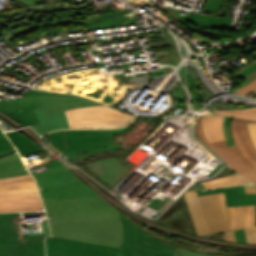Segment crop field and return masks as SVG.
I'll return each mask as SVG.
<instances>
[{"label":"crop field","instance_id":"obj_29","mask_svg":"<svg viewBox=\"0 0 256 256\" xmlns=\"http://www.w3.org/2000/svg\"><path fill=\"white\" fill-rule=\"evenodd\" d=\"M230 118L231 117H225V120H224V129H225L228 146L234 145L232 135H231V130H230V122H229Z\"/></svg>","mask_w":256,"mask_h":256},{"label":"crop field","instance_id":"obj_1","mask_svg":"<svg viewBox=\"0 0 256 256\" xmlns=\"http://www.w3.org/2000/svg\"><path fill=\"white\" fill-rule=\"evenodd\" d=\"M42 201L47 215L53 216L48 219L53 237H46L47 256H116L120 253L121 222L116 208L102 196Z\"/></svg>","mask_w":256,"mask_h":256},{"label":"crop field","instance_id":"obj_50","mask_svg":"<svg viewBox=\"0 0 256 256\" xmlns=\"http://www.w3.org/2000/svg\"><path fill=\"white\" fill-rule=\"evenodd\" d=\"M245 191H246V193H254V192H256V188L246 189Z\"/></svg>","mask_w":256,"mask_h":256},{"label":"crop field","instance_id":"obj_46","mask_svg":"<svg viewBox=\"0 0 256 256\" xmlns=\"http://www.w3.org/2000/svg\"><path fill=\"white\" fill-rule=\"evenodd\" d=\"M28 180H34V179H33V177H29V178H24V179H19V180L0 182V185L14 183V182H20V181H28Z\"/></svg>","mask_w":256,"mask_h":256},{"label":"crop field","instance_id":"obj_25","mask_svg":"<svg viewBox=\"0 0 256 256\" xmlns=\"http://www.w3.org/2000/svg\"><path fill=\"white\" fill-rule=\"evenodd\" d=\"M246 206L236 207L235 229L244 227Z\"/></svg>","mask_w":256,"mask_h":256},{"label":"crop field","instance_id":"obj_4","mask_svg":"<svg viewBox=\"0 0 256 256\" xmlns=\"http://www.w3.org/2000/svg\"><path fill=\"white\" fill-rule=\"evenodd\" d=\"M46 168L45 171L31 173L36 181L39 179L37 183L39 190L41 189L42 198H75L99 195L59 160L46 164Z\"/></svg>","mask_w":256,"mask_h":256},{"label":"crop field","instance_id":"obj_39","mask_svg":"<svg viewBox=\"0 0 256 256\" xmlns=\"http://www.w3.org/2000/svg\"><path fill=\"white\" fill-rule=\"evenodd\" d=\"M141 234H142V241H152V240H158V238L154 237L153 235L141 230Z\"/></svg>","mask_w":256,"mask_h":256},{"label":"crop field","instance_id":"obj_18","mask_svg":"<svg viewBox=\"0 0 256 256\" xmlns=\"http://www.w3.org/2000/svg\"><path fill=\"white\" fill-rule=\"evenodd\" d=\"M41 210L44 208L40 199L0 200V212Z\"/></svg>","mask_w":256,"mask_h":256},{"label":"crop field","instance_id":"obj_38","mask_svg":"<svg viewBox=\"0 0 256 256\" xmlns=\"http://www.w3.org/2000/svg\"><path fill=\"white\" fill-rule=\"evenodd\" d=\"M235 233H236L237 242L247 243L244 229L237 230L235 231Z\"/></svg>","mask_w":256,"mask_h":256},{"label":"crop field","instance_id":"obj_3","mask_svg":"<svg viewBox=\"0 0 256 256\" xmlns=\"http://www.w3.org/2000/svg\"><path fill=\"white\" fill-rule=\"evenodd\" d=\"M41 225L44 233L22 235L18 213H0V256H45L44 236L50 232L46 219ZM34 237L41 239H26Z\"/></svg>","mask_w":256,"mask_h":256},{"label":"crop field","instance_id":"obj_11","mask_svg":"<svg viewBox=\"0 0 256 256\" xmlns=\"http://www.w3.org/2000/svg\"><path fill=\"white\" fill-rule=\"evenodd\" d=\"M34 110L40 124L31 127L35 129L36 132H38L40 135H43L46 132L54 129L69 128L64 111L45 115L42 108Z\"/></svg>","mask_w":256,"mask_h":256},{"label":"crop field","instance_id":"obj_35","mask_svg":"<svg viewBox=\"0 0 256 256\" xmlns=\"http://www.w3.org/2000/svg\"><path fill=\"white\" fill-rule=\"evenodd\" d=\"M248 244H256V227L245 229Z\"/></svg>","mask_w":256,"mask_h":256},{"label":"crop field","instance_id":"obj_27","mask_svg":"<svg viewBox=\"0 0 256 256\" xmlns=\"http://www.w3.org/2000/svg\"><path fill=\"white\" fill-rule=\"evenodd\" d=\"M10 149H14V146L10 143L4 133L0 130V152H4Z\"/></svg>","mask_w":256,"mask_h":256},{"label":"crop field","instance_id":"obj_32","mask_svg":"<svg viewBox=\"0 0 256 256\" xmlns=\"http://www.w3.org/2000/svg\"><path fill=\"white\" fill-rule=\"evenodd\" d=\"M19 154L16 152V150H10L4 153H0V162L19 158Z\"/></svg>","mask_w":256,"mask_h":256},{"label":"crop field","instance_id":"obj_15","mask_svg":"<svg viewBox=\"0 0 256 256\" xmlns=\"http://www.w3.org/2000/svg\"><path fill=\"white\" fill-rule=\"evenodd\" d=\"M241 132H242L244 139L251 151L249 153H247L244 150V148L241 146V144L238 140V137H237L235 123H232V133H233V137H234L237 147L242 152L244 157H246L256 167V161H253V159H256V148L248 136L246 123H241ZM239 174H241L242 176L246 177L247 179H249L250 181H252L256 184V168L239 173Z\"/></svg>","mask_w":256,"mask_h":256},{"label":"crop field","instance_id":"obj_47","mask_svg":"<svg viewBox=\"0 0 256 256\" xmlns=\"http://www.w3.org/2000/svg\"><path fill=\"white\" fill-rule=\"evenodd\" d=\"M31 176L30 174L19 176V177H13V178H5V179H0V181H7V180H13V179H19V178H24V177H29Z\"/></svg>","mask_w":256,"mask_h":256},{"label":"crop field","instance_id":"obj_13","mask_svg":"<svg viewBox=\"0 0 256 256\" xmlns=\"http://www.w3.org/2000/svg\"><path fill=\"white\" fill-rule=\"evenodd\" d=\"M0 110L25 126L38 123L33 109L23 110L17 99L0 102Z\"/></svg>","mask_w":256,"mask_h":256},{"label":"crop field","instance_id":"obj_19","mask_svg":"<svg viewBox=\"0 0 256 256\" xmlns=\"http://www.w3.org/2000/svg\"><path fill=\"white\" fill-rule=\"evenodd\" d=\"M185 194H186L189 210L198 234L202 235V234L209 233L200 210L197 191L185 192Z\"/></svg>","mask_w":256,"mask_h":256},{"label":"crop field","instance_id":"obj_34","mask_svg":"<svg viewBox=\"0 0 256 256\" xmlns=\"http://www.w3.org/2000/svg\"><path fill=\"white\" fill-rule=\"evenodd\" d=\"M235 179H241V177L238 176L237 174H234V175L225 176V177H221V178H218V179H214V180L202 182V184H203V185H206V184L218 183V182L229 181V180H235Z\"/></svg>","mask_w":256,"mask_h":256},{"label":"crop field","instance_id":"obj_26","mask_svg":"<svg viewBox=\"0 0 256 256\" xmlns=\"http://www.w3.org/2000/svg\"><path fill=\"white\" fill-rule=\"evenodd\" d=\"M235 93L244 94L251 97L256 96V80L249 85L237 90Z\"/></svg>","mask_w":256,"mask_h":256},{"label":"crop field","instance_id":"obj_21","mask_svg":"<svg viewBox=\"0 0 256 256\" xmlns=\"http://www.w3.org/2000/svg\"><path fill=\"white\" fill-rule=\"evenodd\" d=\"M21 159L0 163V178L19 176L29 173Z\"/></svg>","mask_w":256,"mask_h":256},{"label":"crop field","instance_id":"obj_10","mask_svg":"<svg viewBox=\"0 0 256 256\" xmlns=\"http://www.w3.org/2000/svg\"><path fill=\"white\" fill-rule=\"evenodd\" d=\"M179 21L188 27L198 31L200 28L210 30L211 28H229L231 20L228 18L208 17L201 14L190 13L188 17L181 16Z\"/></svg>","mask_w":256,"mask_h":256},{"label":"crop field","instance_id":"obj_49","mask_svg":"<svg viewBox=\"0 0 256 256\" xmlns=\"http://www.w3.org/2000/svg\"><path fill=\"white\" fill-rule=\"evenodd\" d=\"M254 64H256V61H255V62H253L252 64H250L249 66L245 67L244 69H242L241 71H239V72H238V73H236L235 75H237V74H239V73L243 72V71H244V70H246L248 67H250V66H252V65H254Z\"/></svg>","mask_w":256,"mask_h":256},{"label":"crop field","instance_id":"obj_23","mask_svg":"<svg viewBox=\"0 0 256 256\" xmlns=\"http://www.w3.org/2000/svg\"><path fill=\"white\" fill-rule=\"evenodd\" d=\"M216 113L256 120V107L243 108V109H237L232 111H216Z\"/></svg>","mask_w":256,"mask_h":256},{"label":"crop field","instance_id":"obj_22","mask_svg":"<svg viewBox=\"0 0 256 256\" xmlns=\"http://www.w3.org/2000/svg\"><path fill=\"white\" fill-rule=\"evenodd\" d=\"M227 231L234 230L235 207H227L224 193H218ZM229 208V210H226Z\"/></svg>","mask_w":256,"mask_h":256},{"label":"crop field","instance_id":"obj_36","mask_svg":"<svg viewBox=\"0 0 256 256\" xmlns=\"http://www.w3.org/2000/svg\"><path fill=\"white\" fill-rule=\"evenodd\" d=\"M249 135L256 146V123H247Z\"/></svg>","mask_w":256,"mask_h":256},{"label":"crop field","instance_id":"obj_8","mask_svg":"<svg viewBox=\"0 0 256 256\" xmlns=\"http://www.w3.org/2000/svg\"><path fill=\"white\" fill-rule=\"evenodd\" d=\"M119 213L123 226V244L120 255L117 256H149L155 254L154 249L145 250L140 235V229Z\"/></svg>","mask_w":256,"mask_h":256},{"label":"crop field","instance_id":"obj_31","mask_svg":"<svg viewBox=\"0 0 256 256\" xmlns=\"http://www.w3.org/2000/svg\"><path fill=\"white\" fill-rule=\"evenodd\" d=\"M224 0H207L205 7L209 10L219 11Z\"/></svg>","mask_w":256,"mask_h":256},{"label":"crop field","instance_id":"obj_30","mask_svg":"<svg viewBox=\"0 0 256 256\" xmlns=\"http://www.w3.org/2000/svg\"><path fill=\"white\" fill-rule=\"evenodd\" d=\"M245 183H249V182H247L244 179H241V180L229 181V182H224V183L206 185V186H204V188L208 189V188H215V187H222V186H229V185H236V184H245Z\"/></svg>","mask_w":256,"mask_h":256},{"label":"crop field","instance_id":"obj_52","mask_svg":"<svg viewBox=\"0 0 256 256\" xmlns=\"http://www.w3.org/2000/svg\"><path fill=\"white\" fill-rule=\"evenodd\" d=\"M209 256H221V255H213V254H208Z\"/></svg>","mask_w":256,"mask_h":256},{"label":"crop field","instance_id":"obj_28","mask_svg":"<svg viewBox=\"0 0 256 256\" xmlns=\"http://www.w3.org/2000/svg\"><path fill=\"white\" fill-rule=\"evenodd\" d=\"M179 253H173V256H207L204 253L193 252L184 248L176 246Z\"/></svg>","mask_w":256,"mask_h":256},{"label":"crop field","instance_id":"obj_14","mask_svg":"<svg viewBox=\"0 0 256 256\" xmlns=\"http://www.w3.org/2000/svg\"><path fill=\"white\" fill-rule=\"evenodd\" d=\"M133 10H126L122 12H109L98 14V17L84 21L85 29H95L113 25L127 24L135 22L134 19L121 18V14L132 12Z\"/></svg>","mask_w":256,"mask_h":256},{"label":"crop field","instance_id":"obj_53","mask_svg":"<svg viewBox=\"0 0 256 256\" xmlns=\"http://www.w3.org/2000/svg\"><path fill=\"white\" fill-rule=\"evenodd\" d=\"M3 119L0 118V121H2Z\"/></svg>","mask_w":256,"mask_h":256},{"label":"crop field","instance_id":"obj_44","mask_svg":"<svg viewBox=\"0 0 256 256\" xmlns=\"http://www.w3.org/2000/svg\"><path fill=\"white\" fill-rule=\"evenodd\" d=\"M256 69V65H254L253 67L247 69L246 71H244L242 74L236 76V78H240V77H245L246 75H248L250 72H252L253 70Z\"/></svg>","mask_w":256,"mask_h":256},{"label":"crop field","instance_id":"obj_41","mask_svg":"<svg viewBox=\"0 0 256 256\" xmlns=\"http://www.w3.org/2000/svg\"><path fill=\"white\" fill-rule=\"evenodd\" d=\"M250 215H251V205L247 206L246 219H245V227L250 226Z\"/></svg>","mask_w":256,"mask_h":256},{"label":"crop field","instance_id":"obj_16","mask_svg":"<svg viewBox=\"0 0 256 256\" xmlns=\"http://www.w3.org/2000/svg\"><path fill=\"white\" fill-rule=\"evenodd\" d=\"M224 116L206 115L203 118V126L206 139L212 143L216 141L226 140L223 130Z\"/></svg>","mask_w":256,"mask_h":256},{"label":"crop field","instance_id":"obj_43","mask_svg":"<svg viewBox=\"0 0 256 256\" xmlns=\"http://www.w3.org/2000/svg\"><path fill=\"white\" fill-rule=\"evenodd\" d=\"M225 235H226L227 241H229V242H236L234 231L225 232Z\"/></svg>","mask_w":256,"mask_h":256},{"label":"crop field","instance_id":"obj_6","mask_svg":"<svg viewBox=\"0 0 256 256\" xmlns=\"http://www.w3.org/2000/svg\"><path fill=\"white\" fill-rule=\"evenodd\" d=\"M23 109L43 107L45 113H52L61 110L79 108L84 106L101 105L81 97L64 96H34L19 98Z\"/></svg>","mask_w":256,"mask_h":256},{"label":"crop field","instance_id":"obj_40","mask_svg":"<svg viewBox=\"0 0 256 256\" xmlns=\"http://www.w3.org/2000/svg\"><path fill=\"white\" fill-rule=\"evenodd\" d=\"M245 79L247 80V82H246L244 85H242L241 87H243V86L249 84V83L252 82L254 79H256V70L253 71L251 74H249L247 77H245ZM241 87H239V88H241ZM239 88H238V89H239ZM236 90H237V89H236ZM236 90H234V91H236ZM234 91H232V92H234ZM232 92H231V93H232Z\"/></svg>","mask_w":256,"mask_h":256},{"label":"crop field","instance_id":"obj_9","mask_svg":"<svg viewBox=\"0 0 256 256\" xmlns=\"http://www.w3.org/2000/svg\"><path fill=\"white\" fill-rule=\"evenodd\" d=\"M198 197L209 232L226 231L217 193Z\"/></svg>","mask_w":256,"mask_h":256},{"label":"crop field","instance_id":"obj_51","mask_svg":"<svg viewBox=\"0 0 256 256\" xmlns=\"http://www.w3.org/2000/svg\"><path fill=\"white\" fill-rule=\"evenodd\" d=\"M248 199V201H254V200H256V197H253V198H247Z\"/></svg>","mask_w":256,"mask_h":256},{"label":"crop field","instance_id":"obj_42","mask_svg":"<svg viewBox=\"0 0 256 256\" xmlns=\"http://www.w3.org/2000/svg\"><path fill=\"white\" fill-rule=\"evenodd\" d=\"M251 226H256V205H252Z\"/></svg>","mask_w":256,"mask_h":256},{"label":"crop field","instance_id":"obj_12","mask_svg":"<svg viewBox=\"0 0 256 256\" xmlns=\"http://www.w3.org/2000/svg\"><path fill=\"white\" fill-rule=\"evenodd\" d=\"M35 181L0 186V199L40 198Z\"/></svg>","mask_w":256,"mask_h":256},{"label":"crop field","instance_id":"obj_20","mask_svg":"<svg viewBox=\"0 0 256 256\" xmlns=\"http://www.w3.org/2000/svg\"><path fill=\"white\" fill-rule=\"evenodd\" d=\"M15 147L19 150L21 156L33 154L36 152L43 151L39 145L33 143L17 131L6 133Z\"/></svg>","mask_w":256,"mask_h":256},{"label":"crop field","instance_id":"obj_7","mask_svg":"<svg viewBox=\"0 0 256 256\" xmlns=\"http://www.w3.org/2000/svg\"><path fill=\"white\" fill-rule=\"evenodd\" d=\"M202 117L198 118L196 122L195 134L208 148L220 156L237 173L254 168L235 146L228 147L226 141L210 144L204 136Z\"/></svg>","mask_w":256,"mask_h":256},{"label":"crop field","instance_id":"obj_5","mask_svg":"<svg viewBox=\"0 0 256 256\" xmlns=\"http://www.w3.org/2000/svg\"><path fill=\"white\" fill-rule=\"evenodd\" d=\"M70 128L122 127L131 122L133 115L114 110L105 105L65 111Z\"/></svg>","mask_w":256,"mask_h":256},{"label":"crop field","instance_id":"obj_37","mask_svg":"<svg viewBox=\"0 0 256 256\" xmlns=\"http://www.w3.org/2000/svg\"><path fill=\"white\" fill-rule=\"evenodd\" d=\"M33 95H65V96H72V95H67V94L48 93V92L33 90L32 92H29L27 95H24V97H26V96H33Z\"/></svg>","mask_w":256,"mask_h":256},{"label":"crop field","instance_id":"obj_2","mask_svg":"<svg viewBox=\"0 0 256 256\" xmlns=\"http://www.w3.org/2000/svg\"><path fill=\"white\" fill-rule=\"evenodd\" d=\"M128 125L121 129L99 130H60L49 133V142L69 159H77L88 155L118 149L112 137L127 130Z\"/></svg>","mask_w":256,"mask_h":256},{"label":"crop field","instance_id":"obj_24","mask_svg":"<svg viewBox=\"0 0 256 256\" xmlns=\"http://www.w3.org/2000/svg\"><path fill=\"white\" fill-rule=\"evenodd\" d=\"M145 248L154 247L157 253H165V252H177L175 246H172L162 240L152 241L143 243Z\"/></svg>","mask_w":256,"mask_h":256},{"label":"crop field","instance_id":"obj_45","mask_svg":"<svg viewBox=\"0 0 256 256\" xmlns=\"http://www.w3.org/2000/svg\"><path fill=\"white\" fill-rule=\"evenodd\" d=\"M20 2L26 4L27 6L37 5V1L39 0H19Z\"/></svg>","mask_w":256,"mask_h":256},{"label":"crop field","instance_id":"obj_33","mask_svg":"<svg viewBox=\"0 0 256 256\" xmlns=\"http://www.w3.org/2000/svg\"><path fill=\"white\" fill-rule=\"evenodd\" d=\"M233 122H236V129H237V133H238V136H239V139L243 145V147L246 149L247 152H249V149L241 135V132H240V122H254V121H249V120H243V119H237V118H234V121Z\"/></svg>","mask_w":256,"mask_h":256},{"label":"crop field","instance_id":"obj_48","mask_svg":"<svg viewBox=\"0 0 256 256\" xmlns=\"http://www.w3.org/2000/svg\"><path fill=\"white\" fill-rule=\"evenodd\" d=\"M151 256H172V253H165V254H155Z\"/></svg>","mask_w":256,"mask_h":256},{"label":"crop field","instance_id":"obj_17","mask_svg":"<svg viewBox=\"0 0 256 256\" xmlns=\"http://www.w3.org/2000/svg\"><path fill=\"white\" fill-rule=\"evenodd\" d=\"M214 192H225L228 206L256 204V201L247 202L246 200V197L256 196V193L245 194L243 186H234V187L214 189L209 191H198V195L214 193Z\"/></svg>","mask_w":256,"mask_h":256}]
</instances>
